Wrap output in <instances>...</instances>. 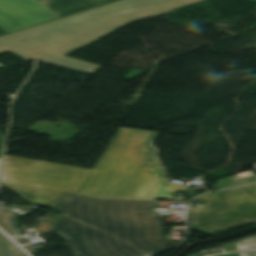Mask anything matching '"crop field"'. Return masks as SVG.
<instances>
[{
	"mask_svg": "<svg viewBox=\"0 0 256 256\" xmlns=\"http://www.w3.org/2000/svg\"><path fill=\"white\" fill-rule=\"evenodd\" d=\"M157 132L120 127L80 195L119 200H174L190 186L164 183L165 172L150 142Z\"/></svg>",
	"mask_w": 256,
	"mask_h": 256,
	"instance_id": "3",
	"label": "crop field"
},
{
	"mask_svg": "<svg viewBox=\"0 0 256 256\" xmlns=\"http://www.w3.org/2000/svg\"><path fill=\"white\" fill-rule=\"evenodd\" d=\"M203 207L190 209L189 228L216 233L256 223V184L199 197Z\"/></svg>",
	"mask_w": 256,
	"mask_h": 256,
	"instance_id": "5",
	"label": "crop field"
},
{
	"mask_svg": "<svg viewBox=\"0 0 256 256\" xmlns=\"http://www.w3.org/2000/svg\"><path fill=\"white\" fill-rule=\"evenodd\" d=\"M114 0H47L44 3L60 17Z\"/></svg>",
	"mask_w": 256,
	"mask_h": 256,
	"instance_id": "7",
	"label": "crop field"
},
{
	"mask_svg": "<svg viewBox=\"0 0 256 256\" xmlns=\"http://www.w3.org/2000/svg\"><path fill=\"white\" fill-rule=\"evenodd\" d=\"M241 256H256V251L250 250V251H243L239 252Z\"/></svg>",
	"mask_w": 256,
	"mask_h": 256,
	"instance_id": "12",
	"label": "crop field"
},
{
	"mask_svg": "<svg viewBox=\"0 0 256 256\" xmlns=\"http://www.w3.org/2000/svg\"><path fill=\"white\" fill-rule=\"evenodd\" d=\"M0 256H28L16 244L0 232Z\"/></svg>",
	"mask_w": 256,
	"mask_h": 256,
	"instance_id": "9",
	"label": "crop field"
},
{
	"mask_svg": "<svg viewBox=\"0 0 256 256\" xmlns=\"http://www.w3.org/2000/svg\"><path fill=\"white\" fill-rule=\"evenodd\" d=\"M218 256H240L239 253L235 254H224V255H218Z\"/></svg>",
	"mask_w": 256,
	"mask_h": 256,
	"instance_id": "14",
	"label": "crop field"
},
{
	"mask_svg": "<svg viewBox=\"0 0 256 256\" xmlns=\"http://www.w3.org/2000/svg\"><path fill=\"white\" fill-rule=\"evenodd\" d=\"M201 0H120L0 37V53L11 51L93 74L101 66L63 56L133 21L162 15Z\"/></svg>",
	"mask_w": 256,
	"mask_h": 256,
	"instance_id": "2",
	"label": "crop field"
},
{
	"mask_svg": "<svg viewBox=\"0 0 256 256\" xmlns=\"http://www.w3.org/2000/svg\"><path fill=\"white\" fill-rule=\"evenodd\" d=\"M0 227L9 236H21L19 222L8 209H0Z\"/></svg>",
	"mask_w": 256,
	"mask_h": 256,
	"instance_id": "8",
	"label": "crop field"
},
{
	"mask_svg": "<svg viewBox=\"0 0 256 256\" xmlns=\"http://www.w3.org/2000/svg\"><path fill=\"white\" fill-rule=\"evenodd\" d=\"M56 18L38 0H0V27L8 33Z\"/></svg>",
	"mask_w": 256,
	"mask_h": 256,
	"instance_id": "6",
	"label": "crop field"
},
{
	"mask_svg": "<svg viewBox=\"0 0 256 256\" xmlns=\"http://www.w3.org/2000/svg\"><path fill=\"white\" fill-rule=\"evenodd\" d=\"M7 34L3 29L0 28V35Z\"/></svg>",
	"mask_w": 256,
	"mask_h": 256,
	"instance_id": "16",
	"label": "crop field"
},
{
	"mask_svg": "<svg viewBox=\"0 0 256 256\" xmlns=\"http://www.w3.org/2000/svg\"><path fill=\"white\" fill-rule=\"evenodd\" d=\"M39 1H44V0H39Z\"/></svg>",
	"mask_w": 256,
	"mask_h": 256,
	"instance_id": "18",
	"label": "crop field"
},
{
	"mask_svg": "<svg viewBox=\"0 0 256 256\" xmlns=\"http://www.w3.org/2000/svg\"><path fill=\"white\" fill-rule=\"evenodd\" d=\"M89 172L4 155L1 183L29 203L53 208L64 192L77 194Z\"/></svg>",
	"mask_w": 256,
	"mask_h": 256,
	"instance_id": "4",
	"label": "crop field"
},
{
	"mask_svg": "<svg viewBox=\"0 0 256 256\" xmlns=\"http://www.w3.org/2000/svg\"><path fill=\"white\" fill-rule=\"evenodd\" d=\"M235 243L238 250L244 248H256V235L240 241H236Z\"/></svg>",
	"mask_w": 256,
	"mask_h": 256,
	"instance_id": "11",
	"label": "crop field"
},
{
	"mask_svg": "<svg viewBox=\"0 0 256 256\" xmlns=\"http://www.w3.org/2000/svg\"><path fill=\"white\" fill-rule=\"evenodd\" d=\"M205 255H207L206 251H202V252H200L196 255H193V256H205Z\"/></svg>",
	"mask_w": 256,
	"mask_h": 256,
	"instance_id": "13",
	"label": "crop field"
},
{
	"mask_svg": "<svg viewBox=\"0 0 256 256\" xmlns=\"http://www.w3.org/2000/svg\"><path fill=\"white\" fill-rule=\"evenodd\" d=\"M18 243L25 242L23 238H14Z\"/></svg>",
	"mask_w": 256,
	"mask_h": 256,
	"instance_id": "15",
	"label": "crop field"
},
{
	"mask_svg": "<svg viewBox=\"0 0 256 256\" xmlns=\"http://www.w3.org/2000/svg\"><path fill=\"white\" fill-rule=\"evenodd\" d=\"M156 205L64 194L53 208L65 215L54 230L74 256H147L175 244L150 211Z\"/></svg>",
	"mask_w": 256,
	"mask_h": 256,
	"instance_id": "1",
	"label": "crop field"
},
{
	"mask_svg": "<svg viewBox=\"0 0 256 256\" xmlns=\"http://www.w3.org/2000/svg\"><path fill=\"white\" fill-rule=\"evenodd\" d=\"M2 150L0 149V158H1Z\"/></svg>",
	"mask_w": 256,
	"mask_h": 256,
	"instance_id": "17",
	"label": "crop field"
},
{
	"mask_svg": "<svg viewBox=\"0 0 256 256\" xmlns=\"http://www.w3.org/2000/svg\"><path fill=\"white\" fill-rule=\"evenodd\" d=\"M62 216L60 214L43 218V220L38 221L37 225L34 226V231L39 234L43 231L53 230Z\"/></svg>",
	"mask_w": 256,
	"mask_h": 256,
	"instance_id": "10",
	"label": "crop field"
}]
</instances>
